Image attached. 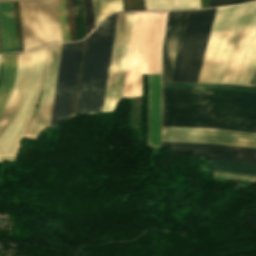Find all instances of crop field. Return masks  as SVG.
<instances>
[{
  "mask_svg": "<svg viewBox=\"0 0 256 256\" xmlns=\"http://www.w3.org/2000/svg\"><path fill=\"white\" fill-rule=\"evenodd\" d=\"M63 41H70L66 0H59Z\"/></svg>",
  "mask_w": 256,
  "mask_h": 256,
  "instance_id": "obj_22",
  "label": "crop field"
},
{
  "mask_svg": "<svg viewBox=\"0 0 256 256\" xmlns=\"http://www.w3.org/2000/svg\"><path fill=\"white\" fill-rule=\"evenodd\" d=\"M81 2H82L84 32H85V35H87L91 31V29L94 27L92 1L81 0Z\"/></svg>",
  "mask_w": 256,
  "mask_h": 256,
  "instance_id": "obj_21",
  "label": "crop field"
},
{
  "mask_svg": "<svg viewBox=\"0 0 256 256\" xmlns=\"http://www.w3.org/2000/svg\"><path fill=\"white\" fill-rule=\"evenodd\" d=\"M147 9H188L200 7L199 0H146Z\"/></svg>",
  "mask_w": 256,
  "mask_h": 256,
  "instance_id": "obj_19",
  "label": "crop field"
},
{
  "mask_svg": "<svg viewBox=\"0 0 256 256\" xmlns=\"http://www.w3.org/2000/svg\"><path fill=\"white\" fill-rule=\"evenodd\" d=\"M162 147H171V151L192 152L193 158H217L256 163L255 148L174 142H162Z\"/></svg>",
  "mask_w": 256,
  "mask_h": 256,
  "instance_id": "obj_12",
  "label": "crop field"
},
{
  "mask_svg": "<svg viewBox=\"0 0 256 256\" xmlns=\"http://www.w3.org/2000/svg\"><path fill=\"white\" fill-rule=\"evenodd\" d=\"M24 50L61 40L58 1L19 2Z\"/></svg>",
  "mask_w": 256,
  "mask_h": 256,
  "instance_id": "obj_7",
  "label": "crop field"
},
{
  "mask_svg": "<svg viewBox=\"0 0 256 256\" xmlns=\"http://www.w3.org/2000/svg\"><path fill=\"white\" fill-rule=\"evenodd\" d=\"M117 13L87 38L74 115L102 112Z\"/></svg>",
  "mask_w": 256,
  "mask_h": 256,
  "instance_id": "obj_4",
  "label": "crop field"
},
{
  "mask_svg": "<svg viewBox=\"0 0 256 256\" xmlns=\"http://www.w3.org/2000/svg\"><path fill=\"white\" fill-rule=\"evenodd\" d=\"M0 27L3 52L17 51L12 2H0Z\"/></svg>",
  "mask_w": 256,
  "mask_h": 256,
  "instance_id": "obj_15",
  "label": "crop field"
},
{
  "mask_svg": "<svg viewBox=\"0 0 256 256\" xmlns=\"http://www.w3.org/2000/svg\"><path fill=\"white\" fill-rule=\"evenodd\" d=\"M47 47L19 54L12 94L0 114V155H14L41 87Z\"/></svg>",
  "mask_w": 256,
  "mask_h": 256,
  "instance_id": "obj_3",
  "label": "crop field"
},
{
  "mask_svg": "<svg viewBox=\"0 0 256 256\" xmlns=\"http://www.w3.org/2000/svg\"><path fill=\"white\" fill-rule=\"evenodd\" d=\"M255 68L256 2L217 8L198 82L248 85Z\"/></svg>",
  "mask_w": 256,
  "mask_h": 256,
  "instance_id": "obj_1",
  "label": "crop field"
},
{
  "mask_svg": "<svg viewBox=\"0 0 256 256\" xmlns=\"http://www.w3.org/2000/svg\"><path fill=\"white\" fill-rule=\"evenodd\" d=\"M61 46L62 43L48 46L41 99L24 136L35 137L42 128L49 125Z\"/></svg>",
  "mask_w": 256,
  "mask_h": 256,
  "instance_id": "obj_11",
  "label": "crop field"
},
{
  "mask_svg": "<svg viewBox=\"0 0 256 256\" xmlns=\"http://www.w3.org/2000/svg\"><path fill=\"white\" fill-rule=\"evenodd\" d=\"M203 169L256 176V164L251 163L208 160Z\"/></svg>",
  "mask_w": 256,
  "mask_h": 256,
  "instance_id": "obj_17",
  "label": "crop field"
},
{
  "mask_svg": "<svg viewBox=\"0 0 256 256\" xmlns=\"http://www.w3.org/2000/svg\"><path fill=\"white\" fill-rule=\"evenodd\" d=\"M82 41L63 43L51 123L70 118Z\"/></svg>",
  "mask_w": 256,
  "mask_h": 256,
  "instance_id": "obj_9",
  "label": "crop field"
},
{
  "mask_svg": "<svg viewBox=\"0 0 256 256\" xmlns=\"http://www.w3.org/2000/svg\"><path fill=\"white\" fill-rule=\"evenodd\" d=\"M0 1H13V0H0Z\"/></svg>",
  "mask_w": 256,
  "mask_h": 256,
  "instance_id": "obj_25",
  "label": "crop field"
},
{
  "mask_svg": "<svg viewBox=\"0 0 256 256\" xmlns=\"http://www.w3.org/2000/svg\"><path fill=\"white\" fill-rule=\"evenodd\" d=\"M252 86H256V78H255V81H254V83H253V85Z\"/></svg>",
  "mask_w": 256,
  "mask_h": 256,
  "instance_id": "obj_24",
  "label": "crop field"
},
{
  "mask_svg": "<svg viewBox=\"0 0 256 256\" xmlns=\"http://www.w3.org/2000/svg\"><path fill=\"white\" fill-rule=\"evenodd\" d=\"M134 12L118 13L103 112L121 98ZM114 110V109H113Z\"/></svg>",
  "mask_w": 256,
  "mask_h": 256,
  "instance_id": "obj_8",
  "label": "crop field"
},
{
  "mask_svg": "<svg viewBox=\"0 0 256 256\" xmlns=\"http://www.w3.org/2000/svg\"><path fill=\"white\" fill-rule=\"evenodd\" d=\"M185 13L186 11L169 13L163 61V81H172L175 54L180 38Z\"/></svg>",
  "mask_w": 256,
  "mask_h": 256,
  "instance_id": "obj_13",
  "label": "crop field"
},
{
  "mask_svg": "<svg viewBox=\"0 0 256 256\" xmlns=\"http://www.w3.org/2000/svg\"><path fill=\"white\" fill-rule=\"evenodd\" d=\"M162 126L256 133V94L162 89Z\"/></svg>",
  "mask_w": 256,
  "mask_h": 256,
  "instance_id": "obj_2",
  "label": "crop field"
},
{
  "mask_svg": "<svg viewBox=\"0 0 256 256\" xmlns=\"http://www.w3.org/2000/svg\"><path fill=\"white\" fill-rule=\"evenodd\" d=\"M215 9L189 11L173 81H198Z\"/></svg>",
  "mask_w": 256,
  "mask_h": 256,
  "instance_id": "obj_6",
  "label": "crop field"
},
{
  "mask_svg": "<svg viewBox=\"0 0 256 256\" xmlns=\"http://www.w3.org/2000/svg\"><path fill=\"white\" fill-rule=\"evenodd\" d=\"M148 145L160 148V74L149 75Z\"/></svg>",
  "mask_w": 256,
  "mask_h": 256,
  "instance_id": "obj_14",
  "label": "crop field"
},
{
  "mask_svg": "<svg viewBox=\"0 0 256 256\" xmlns=\"http://www.w3.org/2000/svg\"><path fill=\"white\" fill-rule=\"evenodd\" d=\"M18 54L5 55L0 83V112L7 102L15 80V72Z\"/></svg>",
  "mask_w": 256,
  "mask_h": 256,
  "instance_id": "obj_16",
  "label": "crop field"
},
{
  "mask_svg": "<svg viewBox=\"0 0 256 256\" xmlns=\"http://www.w3.org/2000/svg\"><path fill=\"white\" fill-rule=\"evenodd\" d=\"M162 141L218 143L256 148V134L220 129L162 127Z\"/></svg>",
  "mask_w": 256,
  "mask_h": 256,
  "instance_id": "obj_10",
  "label": "crop field"
},
{
  "mask_svg": "<svg viewBox=\"0 0 256 256\" xmlns=\"http://www.w3.org/2000/svg\"><path fill=\"white\" fill-rule=\"evenodd\" d=\"M244 2V0H208L209 6Z\"/></svg>",
  "mask_w": 256,
  "mask_h": 256,
  "instance_id": "obj_23",
  "label": "crop field"
},
{
  "mask_svg": "<svg viewBox=\"0 0 256 256\" xmlns=\"http://www.w3.org/2000/svg\"><path fill=\"white\" fill-rule=\"evenodd\" d=\"M162 88L226 90V91L256 93V89L254 88L228 86V85L162 83Z\"/></svg>",
  "mask_w": 256,
  "mask_h": 256,
  "instance_id": "obj_18",
  "label": "crop field"
},
{
  "mask_svg": "<svg viewBox=\"0 0 256 256\" xmlns=\"http://www.w3.org/2000/svg\"><path fill=\"white\" fill-rule=\"evenodd\" d=\"M95 25L107 14L123 10L122 0H92Z\"/></svg>",
  "mask_w": 256,
  "mask_h": 256,
  "instance_id": "obj_20",
  "label": "crop field"
},
{
  "mask_svg": "<svg viewBox=\"0 0 256 256\" xmlns=\"http://www.w3.org/2000/svg\"><path fill=\"white\" fill-rule=\"evenodd\" d=\"M167 12H135L122 97L141 95V74L160 72Z\"/></svg>",
  "mask_w": 256,
  "mask_h": 256,
  "instance_id": "obj_5",
  "label": "crop field"
}]
</instances>
